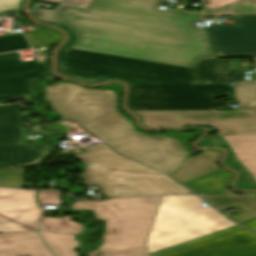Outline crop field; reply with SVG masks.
<instances>
[{"instance_id":"obj_3","label":"crop field","mask_w":256,"mask_h":256,"mask_svg":"<svg viewBox=\"0 0 256 256\" xmlns=\"http://www.w3.org/2000/svg\"><path fill=\"white\" fill-rule=\"evenodd\" d=\"M227 62L226 74H223ZM230 61L200 60L186 68L120 56L61 48L58 70L83 82L122 78L132 85L228 83L245 80L243 70H230Z\"/></svg>"},{"instance_id":"obj_9","label":"crop field","mask_w":256,"mask_h":256,"mask_svg":"<svg viewBox=\"0 0 256 256\" xmlns=\"http://www.w3.org/2000/svg\"><path fill=\"white\" fill-rule=\"evenodd\" d=\"M19 102L0 106V169L19 168L39 163L49 145H22Z\"/></svg>"},{"instance_id":"obj_28","label":"crop field","mask_w":256,"mask_h":256,"mask_svg":"<svg viewBox=\"0 0 256 256\" xmlns=\"http://www.w3.org/2000/svg\"><path fill=\"white\" fill-rule=\"evenodd\" d=\"M21 0H0V13L18 10Z\"/></svg>"},{"instance_id":"obj_29","label":"crop field","mask_w":256,"mask_h":256,"mask_svg":"<svg viewBox=\"0 0 256 256\" xmlns=\"http://www.w3.org/2000/svg\"><path fill=\"white\" fill-rule=\"evenodd\" d=\"M209 4L205 5V8L221 9V7L240 1V0H209Z\"/></svg>"},{"instance_id":"obj_33","label":"crop field","mask_w":256,"mask_h":256,"mask_svg":"<svg viewBox=\"0 0 256 256\" xmlns=\"http://www.w3.org/2000/svg\"><path fill=\"white\" fill-rule=\"evenodd\" d=\"M254 60H255V63H256V58H254Z\"/></svg>"},{"instance_id":"obj_12","label":"crop field","mask_w":256,"mask_h":256,"mask_svg":"<svg viewBox=\"0 0 256 256\" xmlns=\"http://www.w3.org/2000/svg\"><path fill=\"white\" fill-rule=\"evenodd\" d=\"M36 193L0 188V233L37 229L43 210L36 205Z\"/></svg>"},{"instance_id":"obj_22","label":"crop field","mask_w":256,"mask_h":256,"mask_svg":"<svg viewBox=\"0 0 256 256\" xmlns=\"http://www.w3.org/2000/svg\"><path fill=\"white\" fill-rule=\"evenodd\" d=\"M235 98L238 109H256V82L237 83Z\"/></svg>"},{"instance_id":"obj_1","label":"crop field","mask_w":256,"mask_h":256,"mask_svg":"<svg viewBox=\"0 0 256 256\" xmlns=\"http://www.w3.org/2000/svg\"><path fill=\"white\" fill-rule=\"evenodd\" d=\"M32 13L72 30L77 36L74 49L187 67L196 66L199 59L215 58L204 31L190 26L63 6L56 12Z\"/></svg>"},{"instance_id":"obj_17","label":"crop field","mask_w":256,"mask_h":256,"mask_svg":"<svg viewBox=\"0 0 256 256\" xmlns=\"http://www.w3.org/2000/svg\"><path fill=\"white\" fill-rule=\"evenodd\" d=\"M221 152L209 150L186 159L173 174V178L183 183L208 172L216 170L215 161Z\"/></svg>"},{"instance_id":"obj_5","label":"crop field","mask_w":256,"mask_h":256,"mask_svg":"<svg viewBox=\"0 0 256 256\" xmlns=\"http://www.w3.org/2000/svg\"><path fill=\"white\" fill-rule=\"evenodd\" d=\"M84 148L89 151L75 155L88 165L81 178L85 184H99L107 196L191 193L167 176L118 155L103 143Z\"/></svg>"},{"instance_id":"obj_26","label":"crop field","mask_w":256,"mask_h":256,"mask_svg":"<svg viewBox=\"0 0 256 256\" xmlns=\"http://www.w3.org/2000/svg\"><path fill=\"white\" fill-rule=\"evenodd\" d=\"M43 128L60 131L62 133L60 136H51V135L48 136V138L52 139V140L62 139L64 137V133L62 131L67 133V132H71V131H74V130L82 129L74 121H66V122H62V123L45 125V126H43Z\"/></svg>"},{"instance_id":"obj_24","label":"crop field","mask_w":256,"mask_h":256,"mask_svg":"<svg viewBox=\"0 0 256 256\" xmlns=\"http://www.w3.org/2000/svg\"><path fill=\"white\" fill-rule=\"evenodd\" d=\"M25 35L32 48L57 44L62 39L60 33L52 29L28 32Z\"/></svg>"},{"instance_id":"obj_10","label":"crop field","mask_w":256,"mask_h":256,"mask_svg":"<svg viewBox=\"0 0 256 256\" xmlns=\"http://www.w3.org/2000/svg\"><path fill=\"white\" fill-rule=\"evenodd\" d=\"M232 18L234 25L206 30L217 57H256V16Z\"/></svg>"},{"instance_id":"obj_15","label":"crop field","mask_w":256,"mask_h":256,"mask_svg":"<svg viewBox=\"0 0 256 256\" xmlns=\"http://www.w3.org/2000/svg\"><path fill=\"white\" fill-rule=\"evenodd\" d=\"M163 256H256V234L243 229Z\"/></svg>"},{"instance_id":"obj_20","label":"crop field","mask_w":256,"mask_h":256,"mask_svg":"<svg viewBox=\"0 0 256 256\" xmlns=\"http://www.w3.org/2000/svg\"><path fill=\"white\" fill-rule=\"evenodd\" d=\"M40 233L55 256H77L73 250L77 245V242L73 241V235L55 234L42 231H40Z\"/></svg>"},{"instance_id":"obj_13","label":"crop field","mask_w":256,"mask_h":256,"mask_svg":"<svg viewBox=\"0 0 256 256\" xmlns=\"http://www.w3.org/2000/svg\"><path fill=\"white\" fill-rule=\"evenodd\" d=\"M163 0H93L86 9L195 26L202 14L158 9Z\"/></svg>"},{"instance_id":"obj_19","label":"crop field","mask_w":256,"mask_h":256,"mask_svg":"<svg viewBox=\"0 0 256 256\" xmlns=\"http://www.w3.org/2000/svg\"><path fill=\"white\" fill-rule=\"evenodd\" d=\"M232 177L229 171L216 170L183 184L197 194L229 193L225 186Z\"/></svg>"},{"instance_id":"obj_18","label":"crop field","mask_w":256,"mask_h":256,"mask_svg":"<svg viewBox=\"0 0 256 256\" xmlns=\"http://www.w3.org/2000/svg\"><path fill=\"white\" fill-rule=\"evenodd\" d=\"M202 198L219 210L231 205H240L247 212L230 216L239 223L256 218V193H247L240 196L233 194L203 195Z\"/></svg>"},{"instance_id":"obj_31","label":"crop field","mask_w":256,"mask_h":256,"mask_svg":"<svg viewBox=\"0 0 256 256\" xmlns=\"http://www.w3.org/2000/svg\"><path fill=\"white\" fill-rule=\"evenodd\" d=\"M242 225H244L256 232V219L242 223Z\"/></svg>"},{"instance_id":"obj_4","label":"crop field","mask_w":256,"mask_h":256,"mask_svg":"<svg viewBox=\"0 0 256 256\" xmlns=\"http://www.w3.org/2000/svg\"><path fill=\"white\" fill-rule=\"evenodd\" d=\"M160 203V196L116 198L105 202H76L69 209H90L105 220L99 248L88 256H150L145 243Z\"/></svg>"},{"instance_id":"obj_27","label":"crop field","mask_w":256,"mask_h":256,"mask_svg":"<svg viewBox=\"0 0 256 256\" xmlns=\"http://www.w3.org/2000/svg\"><path fill=\"white\" fill-rule=\"evenodd\" d=\"M61 193L55 191H41L38 195L39 203L40 204H47V205H60V201L57 197Z\"/></svg>"},{"instance_id":"obj_25","label":"crop field","mask_w":256,"mask_h":256,"mask_svg":"<svg viewBox=\"0 0 256 256\" xmlns=\"http://www.w3.org/2000/svg\"><path fill=\"white\" fill-rule=\"evenodd\" d=\"M30 48L22 34L0 37V53Z\"/></svg>"},{"instance_id":"obj_23","label":"crop field","mask_w":256,"mask_h":256,"mask_svg":"<svg viewBox=\"0 0 256 256\" xmlns=\"http://www.w3.org/2000/svg\"><path fill=\"white\" fill-rule=\"evenodd\" d=\"M81 225L70 221V217L63 219L44 217L40 229L43 231L64 232V233H79Z\"/></svg>"},{"instance_id":"obj_21","label":"crop field","mask_w":256,"mask_h":256,"mask_svg":"<svg viewBox=\"0 0 256 256\" xmlns=\"http://www.w3.org/2000/svg\"><path fill=\"white\" fill-rule=\"evenodd\" d=\"M256 15V0H244L222 8V10L205 9V17Z\"/></svg>"},{"instance_id":"obj_30","label":"crop field","mask_w":256,"mask_h":256,"mask_svg":"<svg viewBox=\"0 0 256 256\" xmlns=\"http://www.w3.org/2000/svg\"><path fill=\"white\" fill-rule=\"evenodd\" d=\"M91 1L92 0H69V1L64 2L62 5L85 9L86 6ZM196 1H201V0H196Z\"/></svg>"},{"instance_id":"obj_8","label":"crop field","mask_w":256,"mask_h":256,"mask_svg":"<svg viewBox=\"0 0 256 256\" xmlns=\"http://www.w3.org/2000/svg\"><path fill=\"white\" fill-rule=\"evenodd\" d=\"M147 128H177L207 124L219 129L218 135L256 134V110H173L134 111Z\"/></svg>"},{"instance_id":"obj_16","label":"crop field","mask_w":256,"mask_h":256,"mask_svg":"<svg viewBox=\"0 0 256 256\" xmlns=\"http://www.w3.org/2000/svg\"><path fill=\"white\" fill-rule=\"evenodd\" d=\"M44 244L36 232L0 234V256H52Z\"/></svg>"},{"instance_id":"obj_6","label":"crop field","mask_w":256,"mask_h":256,"mask_svg":"<svg viewBox=\"0 0 256 256\" xmlns=\"http://www.w3.org/2000/svg\"><path fill=\"white\" fill-rule=\"evenodd\" d=\"M195 195L161 196L148 237L149 253L236 225Z\"/></svg>"},{"instance_id":"obj_14","label":"crop field","mask_w":256,"mask_h":256,"mask_svg":"<svg viewBox=\"0 0 256 256\" xmlns=\"http://www.w3.org/2000/svg\"><path fill=\"white\" fill-rule=\"evenodd\" d=\"M201 146L224 145L232 152L225 164L242 172L236 188L256 189V135L213 136L200 142Z\"/></svg>"},{"instance_id":"obj_11","label":"crop field","mask_w":256,"mask_h":256,"mask_svg":"<svg viewBox=\"0 0 256 256\" xmlns=\"http://www.w3.org/2000/svg\"><path fill=\"white\" fill-rule=\"evenodd\" d=\"M46 55L27 61H21L18 52L0 55V102L21 97L32 79L51 77L44 65Z\"/></svg>"},{"instance_id":"obj_2","label":"crop field","mask_w":256,"mask_h":256,"mask_svg":"<svg viewBox=\"0 0 256 256\" xmlns=\"http://www.w3.org/2000/svg\"><path fill=\"white\" fill-rule=\"evenodd\" d=\"M45 87V98L54 103L53 110L64 119H73L90 130L117 152L168 175L179 166L187 154L189 141L201 131L187 134L136 133L130 122L115 111V100L123 90L112 84L102 90H91L71 83Z\"/></svg>"},{"instance_id":"obj_32","label":"crop field","mask_w":256,"mask_h":256,"mask_svg":"<svg viewBox=\"0 0 256 256\" xmlns=\"http://www.w3.org/2000/svg\"><path fill=\"white\" fill-rule=\"evenodd\" d=\"M35 1H42V2H48V3L59 4V3L62 2L63 0H35Z\"/></svg>"},{"instance_id":"obj_7","label":"crop field","mask_w":256,"mask_h":256,"mask_svg":"<svg viewBox=\"0 0 256 256\" xmlns=\"http://www.w3.org/2000/svg\"><path fill=\"white\" fill-rule=\"evenodd\" d=\"M229 84L132 86V110L212 109L213 96H232Z\"/></svg>"}]
</instances>
